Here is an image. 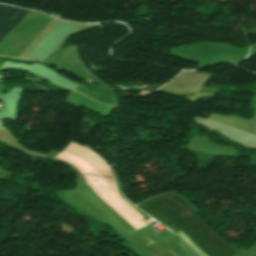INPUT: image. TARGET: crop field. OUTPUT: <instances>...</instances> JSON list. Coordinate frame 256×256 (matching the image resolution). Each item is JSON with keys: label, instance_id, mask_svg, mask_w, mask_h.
<instances>
[{"label": "crop field", "instance_id": "8a807250", "mask_svg": "<svg viewBox=\"0 0 256 256\" xmlns=\"http://www.w3.org/2000/svg\"><path fill=\"white\" fill-rule=\"evenodd\" d=\"M138 206L163 221H170L207 256H230L236 252L191 215L195 210L185 200L172 193L156 196Z\"/></svg>", "mask_w": 256, "mask_h": 256}, {"label": "crop field", "instance_id": "ac0d7876", "mask_svg": "<svg viewBox=\"0 0 256 256\" xmlns=\"http://www.w3.org/2000/svg\"><path fill=\"white\" fill-rule=\"evenodd\" d=\"M27 10L0 5V40L16 24Z\"/></svg>", "mask_w": 256, "mask_h": 256}]
</instances>
